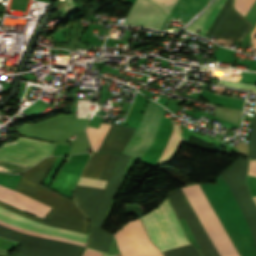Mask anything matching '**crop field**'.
<instances>
[{"label":"crop field","mask_w":256,"mask_h":256,"mask_svg":"<svg viewBox=\"0 0 256 256\" xmlns=\"http://www.w3.org/2000/svg\"><path fill=\"white\" fill-rule=\"evenodd\" d=\"M221 256H239L199 185L182 188Z\"/></svg>","instance_id":"4"},{"label":"crop field","mask_w":256,"mask_h":256,"mask_svg":"<svg viewBox=\"0 0 256 256\" xmlns=\"http://www.w3.org/2000/svg\"><path fill=\"white\" fill-rule=\"evenodd\" d=\"M0 165H1V166H6V167H11V168H16V169H21V170L27 169V167L12 165V164L3 163V162H0Z\"/></svg>","instance_id":"24"},{"label":"crop field","mask_w":256,"mask_h":256,"mask_svg":"<svg viewBox=\"0 0 256 256\" xmlns=\"http://www.w3.org/2000/svg\"><path fill=\"white\" fill-rule=\"evenodd\" d=\"M0 201L17 207L23 211L41 218L49 211L50 207L28 198L14 190L0 186Z\"/></svg>","instance_id":"11"},{"label":"crop field","mask_w":256,"mask_h":256,"mask_svg":"<svg viewBox=\"0 0 256 256\" xmlns=\"http://www.w3.org/2000/svg\"><path fill=\"white\" fill-rule=\"evenodd\" d=\"M181 143H182V140L180 138L178 125L174 124V128H173L171 137L168 141V144H167L161 158L159 159L158 163L156 164L155 168L158 166H161L163 164L169 163L170 160L178 152Z\"/></svg>","instance_id":"13"},{"label":"crop field","mask_w":256,"mask_h":256,"mask_svg":"<svg viewBox=\"0 0 256 256\" xmlns=\"http://www.w3.org/2000/svg\"><path fill=\"white\" fill-rule=\"evenodd\" d=\"M82 256H102V254L86 248Z\"/></svg>","instance_id":"23"},{"label":"crop field","mask_w":256,"mask_h":256,"mask_svg":"<svg viewBox=\"0 0 256 256\" xmlns=\"http://www.w3.org/2000/svg\"><path fill=\"white\" fill-rule=\"evenodd\" d=\"M233 0H227L219 15L213 22L209 34L221 39H235L242 41L246 32L252 27L251 23L238 14L232 6Z\"/></svg>","instance_id":"7"},{"label":"crop field","mask_w":256,"mask_h":256,"mask_svg":"<svg viewBox=\"0 0 256 256\" xmlns=\"http://www.w3.org/2000/svg\"><path fill=\"white\" fill-rule=\"evenodd\" d=\"M225 1L226 0H218L217 1V3L214 5L209 17L207 18L204 25L202 26V28L198 32L199 34H201L203 36L205 35L206 31L209 29L210 25L214 21L215 17L217 16L219 10L221 9V7H222V5L224 4Z\"/></svg>","instance_id":"16"},{"label":"crop field","mask_w":256,"mask_h":256,"mask_svg":"<svg viewBox=\"0 0 256 256\" xmlns=\"http://www.w3.org/2000/svg\"><path fill=\"white\" fill-rule=\"evenodd\" d=\"M110 153L93 154L81 176L100 178Z\"/></svg>","instance_id":"14"},{"label":"crop field","mask_w":256,"mask_h":256,"mask_svg":"<svg viewBox=\"0 0 256 256\" xmlns=\"http://www.w3.org/2000/svg\"><path fill=\"white\" fill-rule=\"evenodd\" d=\"M54 144L19 137L0 149V161L31 167L40 159L50 155Z\"/></svg>","instance_id":"5"},{"label":"crop field","mask_w":256,"mask_h":256,"mask_svg":"<svg viewBox=\"0 0 256 256\" xmlns=\"http://www.w3.org/2000/svg\"><path fill=\"white\" fill-rule=\"evenodd\" d=\"M106 183L107 181H104V180H97V179L86 178V177H81L78 182L79 185H85V186L101 188V189H104Z\"/></svg>","instance_id":"18"},{"label":"crop field","mask_w":256,"mask_h":256,"mask_svg":"<svg viewBox=\"0 0 256 256\" xmlns=\"http://www.w3.org/2000/svg\"><path fill=\"white\" fill-rule=\"evenodd\" d=\"M172 207L178 219L184 218L188 227L190 228L193 236L199 244L204 256H211L208 249L212 252L213 256H220L208 237L206 231L198 220L196 214L188 203L182 190L171 192L168 196Z\"/></svg>","instance_id":"8"},{"label":"crop field","mask_w":256,"mask_h":256,"mask_svg":"<svg viewBox=\"0 0 256 256\" xmlns=\"http://www.w3.org/2000/svg\"><path fill=\"white\" fill-rule=\"evenodd\" d=\"M140 218L149 238L160 251L190 244L167 197L157 208Z\"/></svg>","instance_id":"3"},{"label":"crop field","mask_w":256,"mask_h":256,"mask_svg":"<svg viewBox=\"0 0 256 256\" xmlns=\"http://www.w3.org/2000/svg\"><path fill=\"white\" fill-rule=\"evenodd\" d=\"M114 235L123 256H162L147 238L139 218L127 222Z\"/></svg>","instance_id":"6"},{"label":"crop field","mask_w":256,"mask_h":256,"mask_svg":"<svg viewBox=\"0 0 256 256\" xmlns=\"http://www.w3.org/2000/svg\"><path fill=\"white\" fill-rule=\"evenodd\" d=\"M165 18L154 4L147 0H136L124 25H142L160 30Z\"/></svg>","instance_id":"10"},{"label":"crop field","mask_w":256,"mask_h":256,"mask_svg":"<svg viewBox=\"0 0 256 256\" xmlns=\"http://www.w3.org/2000/svg\"><path fill=\"white\" fill-rule=\"evenodd\" d=\"M255 112H256V110H255Z\"/></svg>","instance_id":"27"},{"label":"crop field","mask_w":256,"mask_h":256,"mask_svg":"<svg viewBox=\"0 0 256 256\" xmlns=\"http://www.w3.org/2000/svg\"><path fill=\"white\" fill-rule=\"evenodd\" d=\"M55 159L56 157L45 158L40 163L25 170L14 187V190L52 207L44 217V219L51 221V223L2 202H0V207L49 226L88 234L87 218L77 208L74 200L39 185L49 172Z\"/></svg>","instance_id":"2"},{"label":"crop field","mask_w":256,"mask_h":256,"mask_svg":"<svg viewBox=\"0 0 256 256\" xmlns=\"http://www.w3.org/2000/svg\"><path fill=\"white\" fill-rule=\"evenodd\" d=\"M0 224L6 226V227H9V228H12V229H15V230H19V231H22V232H25V233H29V234H34V235H39V236H44V237H49V238H54V239H59V240H64V241H68V242H72V243H76V244H80V245H85L84 243H80V242H76V241H72V240H68V239H62V238H55V237H51V236H47V235H42V234H37V233H33V232H29V231H25V230H22V229H19V228H16V227H13V226H10L4 222H1L0 221Z\"/></svg>","instance_id":"22"},{"label":"crop field","mask_w":256,"mask_h":256,"mask_svg":"<svg viewBox=\"0 0 256 256\" xmlns=\"http://www.w3.org/2000/svg\"><path fill=\"white\" fill-rule=\"evenodd\" d=\"M135 128L111 125L98 152H121Z\"/></svg>","instance_id":"12"},{"label":"crop field","mask_w":256,"mask_h":256,"mask_svg":"<svg viewBox=\"0 0 256 256\" xmlns=\"http://www.w3.org/2000/svg\"><path fill=\"white\" fill-rule=\"evenodd\" d=\"M218 83L223 84V85H228V86H232V87L245 89V90L252 91V92H256V86H252V85H247V84H242V83L232 82V81H226V80H222V79H219Z\"/></svg>","instance_id":"21"},{"label":"crop field","mask_w":256,"mask_h":256,"mask_svg":"<svg viewBox=\"0 0 256 256\" xmlns=\"http://www.w3.org/2000/svg\"><path fill=\"white\" fill-rule=\"evenodd\" d=\"M110 125L102 123L100 128H87V136L91 142L92 149L98 151Z\"/></svg>","instance_id":"15"},{"label":"crop field","mask_w":256,"mask_h":256,"mask_svg":"<svg viewBox=\"0 0 256 256\" xmlns=\"http://www.w3.org/2000/svg\"><path fill=\"white\" fill-rule=\"evenodd\" d=\"M255 35H256V25H255L254 29L251 32L253 48L256 49V39L253 38Z\"/></svg>","instance_id":"25"},{"label":"crop field","mask_w":256,"mask_h":256,"mask_svg":"<svg viewBox=\"0 0 256 256\" xmlns=\"http://www.w3.org/2000/svg\"><path fill=\"white\" fill-rule=\"evenodd\" d=\"M254 1L255 0H235L234 6L236 7L238 12L245 16Z\"/></svg>","instance_id":"20"},{"label":"crop field","mask_w":256,"mask_h":256,"mask_svg":"<svg viewBox=\"0 0 256 256\" xmlns=\"http://www.w3.org/2000/svg\"><path fill=\"white\" fill-rule=\"evenodd\" d=\"M165 109L150 101L140 122L139 128L132 136L124 154L140 159L151 145L160 126ZM111 153L100 179L109 180L104 193L90 216L91 239L87 247L108 253L112 234L101 230L103 219L117 193L130 157Z\"/></svg>","instance_id":"1"},{"label":"crop field","mask_w":256,"mask_h":256,"mask_svg":"<svg viewBox=\"0 0 256 256\" xmlns=\"http://www.w3.org/2000/svg\"><path fill=\"white\" fill-rule=\"evenodd\" d=\"M217 0L214 1V3L204 12L202 13L192 24H190L186 29H189L195 33L198 32V30L201 28L202 24L206 20L207 16L209 15L213 5L215 4Z\"/></svg>","instance_id":"17"},{"label":"crop field","mask_w":256,"mask_h":256,"mask_svg":"<svg viewBox=\"0 0 256 256\" xmlns=\"http://www.w3.org/2000/svg\"><path fill=\"white\" fill-rule=\"evenodd\" d=\"M104 256H108V255H105V254H104Z\"/></svg>","instance_id":"26"},{"label":"crop field","mask_w":256,"mask_h":256,"mask_svg":"<svg viewBox=\"0 0 256 256\" xmlns=\"http://www.w3.org/2000/svg\"><path fill=\"white\" fill-rule=\"evenodd\" d=\"M150 1L157 4L168 17L177 0H150Z\"/></svg>","instance_id":"19"},{"label":"crop field","mask_w":256,"mask_h":256,"mask_svg":"<svg viewBox=\"0 0 256 256\" xmlns=\"http://www.w3.org/2000/svg\"><path fill=\"white\" fill-rule=\"evenodd\" d=\"M0 220L10 225L26 229L29 231L39 232L55 237L69 238L84 243H86L87 238L89 236L86 234L49 227L47 225L34 222L30 219L24 218L2 208H0Z\"/></svg>","instance_id":"9"}]
</instances>
